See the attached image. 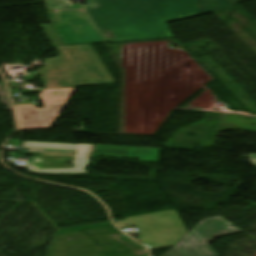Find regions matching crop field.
Instances as JSON below:
<instances>
[{
  "label": "crop field",
  "instance_id": "obj_1",
  "mask_svg": "<svg viewBox=\"0 0 256 256\" xmlns=\"http://www.w3.org/2000/svg\"><path fill=\"white\" fill-rule=\"evenodd\" d=\"M106 43L173 37L166 22L200 15L194 0H91Z\"/></svg>",
  "mask_w": 256,
  "mask_h": 256
},
{
  "label": "crop field",
  "instance_id": "obj_2",
  "mask_svg": "<svg viewBox=\"0 0 256 256\" xmlns=\"http://www.w3.org/2000/svg\"><path fill=\"white\" fill-rule=\"evenodd\" d=\"M41 26L59 53L38 70L45 89L115 84L92 45L64 46L51 25Z\"/></svg>",
  "mask_w": 256,
  "mask_h": 256
},
{
  "label": "crop field",
  "instance_id": "obj_3",
  "mask_svg": "<svg viewBox=\"0 0 256 256\" xmlns=\"http://www.w3.org/2000/svg\"><path fill=\"white\" fill-rule=\"evenodd\" d=\"M230 225L221 216L203 220L165 256H218L207 243L215 238L242 233Z\"/></svg>",
  "mask_w": 256,
  "mask_h": 256
},
{
  "label": "crop field",
  "instance_id": "obj_4",
  "mask_svg": "<svg viewBox=\"0 0 256 256\" xmlns=\"http://www.w3.org/2000/svg\"><path fill=\"white\" fill-rule=\"evenodd\" d=\"M75 88L44 90L40 95L44 108L15 106L20 130L49 128Z\"/></svg>",
  "mask_w": 256,
  "mask_h": 256
},
{
  "label": "crop field",
  "instance_id": "obj_5",
  "mask_svg": "<svg viewBox=\"0 0 256 256\" xmlns=\"http://www.w3.org/2000/svg\"><path fill=\"white\" fill-rule=\"evenodd\" d=\"M24 149H28V151L38 153H41L42 150L74 152L68 150H54L30 147H24ZM160 151L161 149L153 148L94 145L91 158H97V156L132 158L140 159L141 161L145 162L158 163ZM66 161H70V163L67 164ZM72 166L73 160L43 158V169H72Z\"/></svg>",
  "mask_w": 256,
  "mask_h": 256
},
{
  "label": "crop field",
  "instance_id": "obj_6",
  "mask_svg": "<svg viewBox=\"0 0 256 256\" xmlns=\"http://www.w3.org/2000/svg\"><path fill=\"white\" fill-rule=\"evenodd\" d=\"M201 15L237 7L234 0H195Z\"/></svg>",
  "mask_w": 256,
  "mask_h": 256
},
{
  "label": "crop field",
  "instance_id": "obj_7",
  "mask_svg": "<svg viewBox=\"0 0 256 256\" xmlns=\"http://www.w3.org/2000/svg\"><path fill=\"white\" fill-rule=\"evenodd\" d=\"M109 225H111V223L107 222V223H101V224H95V225H89V226H83V227L59 230V231H56L55 234L64 233V232H71V231H77V230H83V229L96 228V227H103V226H109Z\"/></svg>",
  "mask_w": 256,
  "mask_h": 256
},
{
  "label": "crop field",
  "instance_id": "obj_8",
  "mask_svg": "<svg viewBox=\"0 0 256 256\" xmlns=\"http://www.w3.org/2000/svg\"><path fill=\"white\" fill-rule=\"evenodd\" d=\"M251 161L254 163V165L256 166V154H248Z\"/></svg>",
  "mask_w": 256,
  "mask_h": 256
},
{
  "label": "crop field",
  "instance_id": "obj_9",
  "mask_svg": "<svg viewBox=\"0 0 256 256\" xmlns=\"http://www.w3.org/2000/svg\"><path fill=\"white\" fill-rule=\"evenodd\" d=\"M236 2L243 1V0H235Z\"/></svg>",
  "mask_w": 256,
  "mask_h": 256
}]
</instances>
